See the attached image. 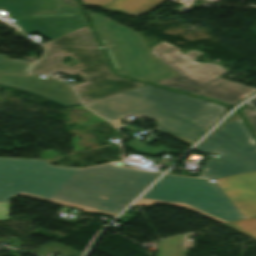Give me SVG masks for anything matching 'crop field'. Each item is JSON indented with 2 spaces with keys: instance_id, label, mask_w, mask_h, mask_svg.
Wrapping results in <instances>:
<instances>
[{
  "instance_id": "4a817a6b",
  "label": "crop field",
  "mask_w": 256,
  "mask_h": 256,
  "mask_svg": "<svg viewBox=\"0 0 256 256\" xmlns=\"http://www.w3.org/2000/svg\"><path fill=\"white\" fill-rule=\"evenodd\" d=\"M187 238V234L184 235V242H183V251L186 249L193 248V241H186L185 239Z\"/></svg>"
},
{
  "instance_id": "e52e79f7",
  "label": "crop field",
  "mask_w": 256,
  "mask_h": 256,
  "mask_svg": "<svg viewBox=\"0 0 256 256\" xmlns=\"http://www.w3.org/2000/svg\"><path fill=\"white\" fill-rule=\"evenodd\" d=\"M46 52L31 72L49 75L55 71L82 77L100 70L108 69V66L98 50L94 38L85 26L79 30L62 35L52 41L42 44ZM72 56L79 61L77 65L69 68L61 61L65 56Z\"/></svg>"
},
{
  "instance_id": "ac0d7876",
  "label": "crop field",
  "mask_w": 256,
  "mask_h": 256,
  "mask_svg": "<svg viewBox=\"0 0 256 256\" xmlns=\"http://www.w3.org/2000/svg\"><path fill=\"white\" fill-rule=\"evenodd\" d=\"M85 105L115 126L121 125L119 118L130 114L155 119L158 127L154 131L176 136V139L190 146L227 109L216 103L149 85Z\"/></svg>"
},
{
  "instance_id": "5a996713",
  "label": "crop field",
  "mask_w": 256,
  "mask_h": 256,
  "mask_svg": "<svg viewBox=\"0 0 256 256\" xmlns=\"http://www.w3.org/2000/svg\"><path fill=\"white\" fill-rule=\"evenodd\" d=\"M82 79L84 83L73 87L83 104L145 85L118 78L109 69L82 77Z\"/></svg>"
},
{
  "instance_id": "28ad6ade",
  "label": "crop field",
  "mask_w": 256,
  "mask_h": 256,
  "mask_svg": "<svg viewBox=\"0 0 256 256\" xmlns=\"http://www.w3.org/2000/svg\"><path fill=\"white\" fill-rule=\"evenodd\" d=\"M56 14H81L80 9L64 6L61 0H0V16L31 17Z\"/></svg>"
},
{
  "instance_id": "cbeb9de0",
  "label": "crop field",
  "mask_w": 256,
  "mask_h": 256,
  "mask_svg": "<svg viewBox=\"0 0 256 256\" xmlns=\"http://www.w3.org/2000/svg\"><path fill=\"white\" fill-rule=\"evenodd\" d=\"M223 225L256 239V216Z\"/></svg>"
},
{
  "instance_id": "d9b57169",
  "label": "crop field",
  "mask_w": 256,
  "mask_h": 256,
  "mask_svg": "<svg viewBox=\"0 0 256 256\" xmlns=\"http://www.w3.org/2000/svg\"><path fill=\"white\" fill-rule=\"evenodd\" d=\"M83 4L85 5H91V6H97L102 7L106 4H108L112 0H81ZM111 3V2H110ZM107 6V5H106Z\"/></svg>"
},
{
  "instance_id": "d1516ede",
  "label": "crop field",
  "mask_w": 256,
  "mask_h": 256,
  "mask_svg": "<svg viewBox=\"0 0 256 256\" xmlns=\"http://www.w3.org/2000/svg\"><path fill=\"white\" fill-rule=\"evenodd\" d=\"M165 0H113L102 10H115L130 16H140L156 9Z\"/></svg>"
},
{
  "instance_id": "5142ce71",
  "label": "crop field",
  "mask_w": 256,
  "mask_h": 256,
  "mask_svg": "<svg viewBox=\"0 0 256 256\" xmlns=\"http://www.w3.org/2000/svg\"><path fill=\"white\" fill-rule=\"evenodd\" d=\"M241 111L244 113L245 117L256 133V112L249 108H244Z\"/></svg>"
},
{
  "instance_id": "bc2a9ffb",
  "label": "crop field",
  "mask_w": 256,
  "mask_h": 256,
  "mask_svg": "<svg viewBox=\"0 0 256 256\" xmlns=\"http://www.w3.org/2000/svg\"><path fill=\"white\" fill-rule=\"evenodd\" d=\"M62 3L64 5H68V6L79 8L75 0H62Z\"/></svg>"
},
{
  "instance_id": "f4fd0767",
  "label": "crop field",
  "mask_w": 256,
  "mask_h": 256,
  "mask_svg": "<svg viewBox=\"0 0 256 256\" xmlns=\"http://www.w3.org/2000/svg\"><path fill=\"white\" fill-rule=\"evenodd\" d=\"M88 13L118 74L151 83L177 75L151 55L139 33Z\"/></svg>"
},
{
  "instance_id": "d8731c3e",
  "label": "crop field",
  "mask_w": 256,
  "mask_h": 256,
  "mask_svg": "<svg viewBox=\"0 0 256 256\" xmlns=\"http://www.w3.org/2000/svg\"><path fill=\"white\" fill-rule=\"evenodd\" d=\"M33 64L8 59L0 54V84L33 93L65 107L80 104L68 84L51 77L42 79L39 75L27 73Z\"/></svg>"
},
{
  "instance_id": "412701ff",
  "label": "crop field",
  "mask_w": 256,
  "mask_h": 256,
  "mask_svg": "<svg viewBox=\"0 0 256 256\" xmlns=\"http://www.w3.org/2000/svg\"><path fill=\"white\" fill-rule=\"evenodd\" d=\"M150 51L162 63L178 73L175 77L154 84L221 100L231 105L256 91L255 88L218 78L227 72L220 66L194 62V58L202 53L190 51L184 55L165 42H161Z\"/></svg>"
},
{
  "instance_id": "733c2abd",
  "label": "crop field",
  "mask_w": 256,
  "mask_h": 256,
  "mask_svg": "<svg viewBox=\"0 0 256 256\" xmlns=\"http://www.w3.org/2000/svg\"><path fill=\"white\" fill-rule=\"evenodd\" d=\"M9 203H0V220H7Z\"/></svg>"
},
{
  "instance_id": "22f410ed",
  "label": "crop field",
  "mask_w": 256,
  "mask_h": 256,
  "mask_svg": "<svg viewBox=\"0 0 256 256\" xmlns=\"http://www.w3.org/2000/svg\"><path fill=\"white\" fill-rule=\"evenodd\" d=\"M183 235L159 241L158 256H187L182 252Z\"/></svg>"
},
{
  "instance_id": "34b2d1b8",
  "label": "crop field",
  "mask_w": 256,
  "mask_h": 256,
  "mask_svg": "<svg viewBox=\"0 0 256 256\" xmlns=\"http://www.w3.org/2000/svg\"><path fill=\"white\" fill-rule=\"evenodd\" d=\"M216 181L165 176L135 204L168 203L221 223L256 215V172Z\"/></svg>"
},
{
  "instance_id": "8a807250",
  "label": "crop field",
  "mask_w": 256,
  "mask_h": 256,
  "mask_svg": "<svg viewBox=\"0 0 256 256\" xmlns=\"http://www.w3.org/2000/svg\"><path fill=\"white\" fill-rule=\"evenodd\" d=\"M159 175L110 164L69 169L44 160L0 157V202L28 195L114 217Z\"/></svg>"
},
{
  "instance_id": "3316defc",
  "label": "crop field",
  "mask_w": 256,
  "mask_h": 256,
  "mask_svg": "<svg viewBox=\"0 0 256 256\" xmlns=\"http://www.w3.org/2000/svg\"><path fill=\"white\" fill-rule=\"evenodd\" d=\"M15 19L17 22H14V24L19 26L26 35L38 32L50 40L86 25L82 15H56Z\"/></svg>"
},
{
  "instance_id": "dd49c442",
  "label": "crop field",
  "mask_w": 256,
  "mask_h": 256,
  "mask_svg": "<svg viewBox=\"0 0 256 256\" xmlns=\"http://www.w3.org/2000/svg\"><path fill=\"white\" fill-rule=\"evenodd\" d=\"M195 149L222 153L219 160H207L199 177L217 178L256 170V143L238 114L231 116Z\"/></svg>"
}]
</instances>
